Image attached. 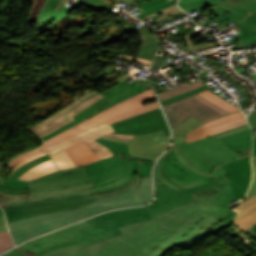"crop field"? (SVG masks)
I'll use <instances>...</instances> for the list:
<instances>
[{
	"mask_svg": "<svg viewBox=\"0 0 256 256\" xmlns=\"http://www.w3.org/2000/svg\"><path fill=\"white\" fill-rule=\"evenodd\" d=\"M30 193L9 195L0 192L7 221L60 210L76 209L97 199L88 195L93 182L83 166L58 171L29 182Z\"/></svg>",
	"mask_w": 256,
	"mask_h": 256,
	"instance_id": "obj_1",
	"label": "crop field"
},
{
	"mask_svg": "<svg viewBox=\"0 0 256 256\" xmlns=\"http://www.w3.org/2000/svg\"><path fill=\"white\" fill-rule=\"evenodd\" d=\"M173 151L169 149L158 161L155 169V191L157 200L147 206L135 209L120 210L105 213L85 220L91 226L106 220H115L137 214L149 212L152 219L172 209L194 201L196 207L208 214L220 217L224 212L233 208L229 202L233 201L229 181L221 167L212 171L216 182L196 187L181 189L170 183L162 175V165L165 158ZM162 184H158L157 182Z\"/></svg>",
	"mask_w": 256,
	"mask_h": 256,
	"instance_id": "obj_2",
	"label": "crop field"
},
{
	"mask_svg": "<svg viewBox=\"0 0 256 256\" xmlns=\"http://www.w3.org/2000/svg\"><path fill=\"white\" fill-rule=\"evenodd\" d=\"M194 203L187 204L152 221L120 227L122 236L89 245H72L43 256H145L166 239L194 211ZM2 256H35L18 247Z\"/></svg>",
	"mask_w": 256,
	"mask_h": 256,
	"instance_id": "obj_3",
	"label": "crop field"
},
{
	"mask_svg": "<svg viewBox=\"0 0 256 256\" xmlns=\"http://www.w3.org/2000/svg\"><path fill=\"white\" fill-rule=\"evenodd\" d=\"M138 162L149 165L154 163L142 159L123 161V154H121L84 166L94 182L89 194L101 197L129 189L137 178Z\"/></svg>",
	"mask_w": 256,
	"mask_h": 256,
	"instance_id": "obj_4",
	"label": "crop field"
},
{
	"mask_svg": "<svg viewBox=\"0 0 256 256\" xmlns=\"http://www.w3.org/2000/svg\"><path fill=\"white\" fill-rule=\"evenodd\" d=\"M139 181H140V177L137 178L136 183L126 192L113 195V196L102 197L99 200L95 201L94 203L88 206L82 207L80 209L38 215V216L22 219L18 222L10 223L8 224V226L10 230H13L21 226H25L28 224H32V223H36L44 220H49V221L67 225L77 220L102 212L104 210L145 204L143 200L140 198V196L137 194V192L135 191L139 184Z\"/></svg>",
	"mask_w": 256,
	"mask_h": 256,
	"instance_id": "obj_5",
	"label": "crop field"
},
{
	"mask_svg": "<svg viewBox=\"0 0 256 256\" xmlns=\"http://www.w3.org/2000/svg\"><path fill=\"white\" fill-rule=\"evenodd\" d=\"M155 95L153 89L146 90L134 97H131L105 111H102L91 118L85 119L83 122L78 124L77 126L67 130L66 132L48 140L41 147V149L50 146L56 142H59L63 139L69 138L71 136L77 135L87 129H90L100 123L108 121L109 123L115 122L121 119H125L131 116L138 115L145 111L151 110L153 108L158 107V103H152L146 106H142L141 104L148 102L150 100L155 99Z\"/></svg>",
	"mask_w": 256,
	"mask_h": 256,
	"instance_id": "obj_6",
	"label": "crop field"
},
{
	"mask_svg": "<svg viewBox=\"0 0 256 256\" xmlns=\"http://www.w3.org/2000/svg\"><path fill=\"white\" fill-rule=\"evenodd\" d=\"M217 219L197 210L147 256H163L175 246L190 249L209 234L204 231Z\"/></svg>",
	"mask_w": 256,
	"mask_h": 256,
	"instance_id": "obj_7",
	"label": "crop field"
},
{
	"mask_svg": "<svg viewBox=\"0 0 256 256\" xmlns=\"http://www.w3.org/2000/svg\"><path fill=\"white\" fill-rule=\"evenodd\" d=\"M214 13L203 20L199 25L206 26L212 21H221L219 24H229L231 22L237 24L231 28L239 34L232 39L242 42L253 30L256 31V25L246 21L245 19L256 13V0H245L237 4L224 0L219 4L210 7Z\"/></svg>",
	"mask_w": 256,
	"mask_h": 256,
	"instance_id": "obj_8",
	"label": "crop field"
},
{
	"mask_svg": "<svg viewBox=\"0 0 256 256\" xmlns=\"http://www.w3.org/2000/svg\"><path fill=\"white\" fill-rule=\"evenodd\" d=\"M163 108L171 127H174L190 115L205 123L211 119L231 113L199 93L166 105Z\"/></svg>",
	"mask_w": 256,
	"mask_h": 256,
	"instance_id": "obj_9",
	"label": "crop field"
},
{
	"mask_svg": "<svg viewBox=\"0 0 256 256\" xmlns=\"http://www.w3.org/2000/svg\"><path fill=\"white\" fill-rule=\"evenodd\" d=\"M104 97L101 93L90 90L72 103L57 111L42 122L30 127L41 137L75 120L73 117Z\"/></svg>",
	"mask_w": 256,
	"mask_h": 256,
	"instance_id": "obj_10",
	"label": "crop field"
},
{
	"mask_svg": "<svg viewBox=\"0 0 256 256\" xmlns=\"http://www.w3.org/2000/svg\"><path fill=\"white\" fill-rule=\"evenodd\" d=\"M118 134H147L163 129L166 136L169 134L168 125L160 107L135 117L111 123Z\"/></svg>",
	"mask_w": 256,
	"mask_h": 256,
	"instance_id": "obj_11",
	"label": "crop field"
},
{
	"mask_svg": "<svg viewBox=\"0 0 256 256\" xmlns=\"http://www.w3.org/2000/svg\"><path fill=\"white\" fill-rule=\"evenodd\" d=\"M111 132H114L113 128L110 126L108 122L100 124L90 130H87L77 136L71 137L69 139L63 140L59 143H56L50 147H47L43 150L47 151L50 155L65 149L71 145H74L80 141H83L86 145H88L95 153L96 155L102 159L109 156H113V154L103 145L97 143L94 141V139L99 138L103 135L110 136V137H117V138H123L128 139L134 138V136H128V135H118V134H109Z\"/></svg>",
	"mask_w": 256,
	"mask_h": 256,
	"instance_id": "obj_12",
	"label": "crop field"
},
{
	"mask_svg": "<svg viewBox=\"0 0 256 256\" xmlns=\"http://www.w3.org/2000/svg\"><path fill=\"white\" fill-rule=\"evenodd\" d=\"M121 143L129 144L131 157L156 161L166 149L170 136L165 137L163 131H157L147 135L135 136V139L123 140L110 137H102Z\"/></svg>",
	"mask_w": 256,
	"mask_h": 256,
	"instance_id": "obj_13",
	"label": "crop field"
},
{
	"mask_svg": "<svg viewBox=\"0 0 256 256\" xmlns=\"http://www.w3.org/2000/svg\"><path fill=\"white\" fill-rule=\"evenodd\" d=\"M163 175L170 182L181 188L196 186L215 181L214 178L203 177L184 167L172 152L164 162Z\"/></svg>",
	"mask_w": 256,
	"mask_h": 256,
	"instance_id": "obj_14",
	"label": "crop field"
},
{
	"mask_svg": "<svg viewBox=\"0 0 256 256\" xmlns=\"http://www.w3.org/2000/svg\"><path fill=\"white\" fill-rule=\"evenodd\" d=\"M250 159L243 158L221 166L230 181L234 200L246 195L250 186Z\"/></svg>",
	"mask_w": 256,
	"mask_h": 256,
	"instance_id": "obj_15",
	"label": "crop field"
},
{
	"mask_svg": "<svg viewBox=\"0 0 256 256\" xmlns=\"http://www.w3.org/2000/svg\"><path fill=\"white\" fill-rule=\"evenodd\" d=\"M192 147L215 167L238 159L216 136L191 143Z\"/></svg>",
	"mask_w": 256,
	"mask_h": 256,
	"instance_id": "obj_16",
	"label": "crop field"
},
{
	"mask_svg": "<svg viewBox=\"0 0 256 256\" xmlns=\"http://www.w3.org/2000/svg\"><path fill=\"white\" fill-rule=\"evenodd\" d=\"M146 220H151V217L149 215V213L146 214H142V215H137V216H133V217H128V218H124V219H119V220H115V221H106L91 227H87L85 229L79 230L77 232H74V235L77 237L78 240L116 228V227H120V226H124V225H128L131 223H135V222H139V221H146ZM75 240V241H69V242H64V243H60L54 246H50L47 247L39 252L34 253L36 256H41L45 253H48L50 251H53L55 249L64 247V246H68V245H72V244H78L79 241Z\"/></svg>",
	"mask_w": 256,
	"mask_h": 256,
	"instance_id": "obj_17",
	"label": "crop field"
},
{
	"mask_svg": "<svg viewBox=\"0 0 256 256\" xmlns=\"http://www.w3.org/2000/svg\"><path fill=\"white\" fill-rule=\"evenodd\" d=\"M246 123L247 122L244 116H242L241 112L239 111L234 114L223 116L214 121H210L183 136L186 142H189V141L207 137V136H210L236 126L246 124Z\"/></svg>",
	"mask_w": 256,
	"mask_h": 256,
	"instance_id": "obj_18",
	"label": "crop field"
},
{
	"mask_svg": "<svg viewBox=\"0 0 256 256\" xmlns=\"http://www.w3.org/2000/svg\"><path fill=\"white\" fill-rule=\"evenodd\" d=\"M84 227H87V225L84 221H82L80 223H77L70 227L50 233L43 237L35 238L31 241H28V242L22 244L20 247L34 253V252L39 251L47 246L76 239V237L73 235L72 232L82 229Z\"/></svg>",
	"mask_w": 256,
	"mask_h": 256,
	"instance_id": "obj_19",
	"label": "crop field"
},
{
	"mask_svg": "<svg viewBox=\"0 0 256 256\" xmlns=\"http://www.w3.org/2000/svg\"><path fill=\"white\" fill-rule=\"evenodd\" d=\"M146 88L143 87L140 83H138L136 80L132 81V82H127L124 81L114 87H111L103 92H101L102 94L105 95V97L109 98L110 100H112L113 102L110 103L109 105H107L106 107H104L103 109H101L100 111L130 97L133 96L143 90H145ZM99 111V112H100ZM98 113V112H97Z\"/></svg>",
	"mask_w": 256,
	"mask_h": 256,
	"instance_id": "obj_20",
	"label": "crop field"
},
{
	"mask_svg": "<svg viewBox=\"0 0 256 256\" xmlns=\"http://www.w3.org/2000/svg\"><path fill=\"white\" fill-rule=\"evenodd\" d=\"M60 224H56L53 222L45 221V222H40L32 225H28L22 228H18L14 231H12V235L14 238V241L16 244H19L29 238H32L34 236H37L39 234L45 233L47 231H50L52 229L58 228Z\"/></svg>",
	"mask_w": 256,
	"mask_h": 256,
	"instance_id": "obj_21",
	"label": "crop field"
},
{
	"mask_svg": "<svg viewBox=\"0 0 256 256\" xmlns=\"http://www.w3.org/2000/svg\"><path fill=\"white\" fill-rule=\"evenodd\" d=\"M69 9L70 7L64 6V0H48L39 15L37 29L51 24Z\"/></svg>",
	"mask_w": 256,
	"mask_h": 256,
	"instance_id": "obj_22",
	"label": "crop field"
},
{
	"mask_svg": "<svg viewBox=\"0 0 256 256\" xmlns=\"http://www.w3.org/2000/svg\"><path fill=\"white\" fill-rule=\"evenodd\" d=\"M65 151L77 166L86 165L99 160L95 153L83 142L71 146L65 149Z\"/></svg>",
	"mask_w": 256,
	"mask_h": 256,
	"instance_id": "obj_23",
	"label": "crop field"
},
{
	"mask_svg": "<svg viewBox=\"0 0 256 256\" xmlns=\"http://www.w3.org/2000/svg\"><path fill=\"white\" fill-rule=\"evenodd\" d=\"M110 101L107 98H102L101 100H99L98 102H96L95 104H93L92 106H90L88 109H86L85 111H83L82 113H80L79 115H77L76 117H74L76 120L44 137H42L45 141L64 132L65 130L77 125L78 123H80L82 120H84L85 118H87L88 116L96 113L97 111H99L101 108H103L104 106H106L107 104H109Z\"/></svg>",
	"mask_w": 256,
	"mask_h": 256,
	"instance_id": "obj_24",
	"label": "crop field"
},
{
	"mask_svg": "<svg viewBox=\"0 0 256 256\" xmlns=\"http://www.w3.org/2000/svg\"><path fill=\"white\" fill-rule=\"evenodd\" d=\"M0 191L10 194H23L29 192L28 182L0 176Z\"/></svg>",
	"mask_w": 256,
	"mask_h": 256,
	"instance_id": "obj_25",
	"label": "crop field"
},
{
	"mask_svg": "<svg viewBox=\"0 0 256 256\" xmlns=\"http://www.w3.org/2000/svg\"><path fill=\"white\" fill-rule=\"evenodd\" d=\"M138 34H145L147 42H142L138 57L152 60L158 48L157 39L145 28L136 31Z\"/></svg>",
	"mask_w": 256,
	"mask_h": 256,
	"instance_id": "obj_26",
	"label": "crop field"
},
{
	"mask_svg": "<svg viewBox=\"0 0 256 256\" xmlns=\"http://www.w3.org/2000/svg\"><path fill=\"white\" fill-rule=\"evenodd\" d=\"M182 152L185 154V156L188 158V160L194 164L196 167L206 171L210 172L214 166H212L210 163H208L206 160H204L190 145V143L185 145H179Z\"/></svg>",
	"mask_w": 256,
	"mask_h": 256,
	"instance_id": "obj_27",
	"label": "crop field"
},
{
	"mask_svg": "<svg viewBox=\"0 0 256 256\" xmlns=\"http://www.w3.org/2000/svg\"><path fill=\"white\" fill-rule=\"evenodd\" d=\"M55 171H58V168L56 164L52 160H50L48 162H45L43 164H40L38 166L31 168L18 179L30 181L34 178H37Z\"/></svg>",
	"mask_w": 256,
	"mask_h": 256,
	"instance_id": "obj_28",
	"label": "crop field"
},
{
	"mask_svg": "<svg viewBox=\"0 0 256 256\" xmlns=\"http://www.w3.org/2000/svg\"><path fill=\"white\" fill-rule=\"evenodd\" d=\"M236 213L232 211H227L224 213L206 232H209L213 235L220 233L228 225L232 224L236 218Z\"/></svg>",
	"mask_w": 256,
	"mask_h": 256,
	"instance_id": "obj_29",
	"label": "crop field"
},
{
	"mask_svg": "<svg viewBox=\"0 0 256 256\" xmlns=\"http://www.w3.org/2000/svg\"><path fill=\"white\" fill-rule=\"evenodd\" d=\"M256 224V207L246 211L245 213L237 216L234 225L241 228L242 230H247Z\"/></svg>",
	"mask_w": 256,
	"mask_h": 256,
	"instance_id": "obj_30",
	"label": "crop field"
},
{
	"mask_svg": "<svg viewBox=\"0 0 256 256\" xmlns=\"http://www.w3.org/2000/svg\"><path fill=\"white\" fill-rule=\"evenodd\" d=\"M201 124H203V123L199 122L195 118H193L191 116L188 117L183 122H181L180 124H178L177 126L172 128L173 139L191 131L192 129L200 126Z\"/></svg>",
	"mask_w": 256,
	"mask_h": 256,
	"instance_id": "obj_31",
	"label": "crop field"
},
{
	"mask_svg": "<svg viewBox=\"0 0 256 256\" xmlns=\"http://www.w3.org/2000/svg\"><path fill=\"white\" fill-rule=\"evenodd\" d=\"M203 82H205V81L203 79H201V80H198V81H195V82H192V83H189V84H186V85H183V86H180V87H177V88L165 91V92H162V93L158 94V96H159L160 100L162 101L164 99L170 98L172 96L178 95L185 91L191 90V89L199 87L201 85H204Z\"/></svg>",
	"mask_w": 256,
	"mask_h": 256,
	"instance_id": "obj_32",
	"label": "crop field"
},
{
	"mask_svg": "<svg viewBox=\"0 0 256 256\" xmlns=\"http://www.w3.org/2000/svg\"><path fill=\"white\" fill-rule=\"evenodd\" d=\"M221 0H188L180 2L179 6L182 7L186 12L196 9L201 11L202 9L209 7Z\"/></svg>",
	"mask_w": 256,
	"mask_h": 256,
	"instance_id": "obj_33",
	"label": "crop field"
},
{
	"mask_svg": "<svg viewBox=\"0 0 256 256\" xmlns=\"http://www.w3.org/2000/svg\"><path fill=\"white\" fill-rule=\"evenodd\" d=\"M122 235L118 228L80 240V243L84 246L93 244L99 241L107 240L116 236Z\"/></svg>",
	"mask_w": 256,
	"mask_h": 256,
	"instance_id": "obj_34",
	"label": "crop field"
},
{
	"mask_svg": "<svg viewBox=\"0 0 256 256\" xmlns=\"http://www.w3.org/2000/svg\"><path fill=\"white\" fill-rule=\"evenodd\" d=\"M136 191L144 202L148 203L152 199L151 177H141L140 185Z\"/></svg>",
	"mask_w": 256,
	"mask_h": 256,
	"instance_id": "obj_35",
	"label": "crop field"
},
{
	"mask_svg": "<svg viewBox=\"0 0 256 256\" xmlns=\"http://www.w3.org/2000/svg\"><path fill=\"white\" fill-rule=\"evenodd\" d=\"M52 158V160L57 164L59 170L75 166L64 150L52 155Z\"/></svg>",
	"mask_w": 256,
	"mask_h": 256,
	"instance_id": "obj_36",
	"label": "crop field"
},
{
	"mask_svg": "<svg viewBox=\"0 0 256 256\" xmlns=\"http://www.w3.org/2000/svg\"><path fill=\"white\" fill-rule=\"evenodd\" d=\"M235 153L250 149L252 147V137H247L229 144H226Z\"/></svg>",
	"mask_w": 256,
	"mask_h": 256,
	"instance_id": "obj_37",
	"label": "crop field"
},
{
	"mask_svg": "<svg viewBox=\"0 0 256 256\" xmlns=\"http://www.w3.org/2000/svg\"><path fill=\"white\" fill-rule=\"evenodd\" d=\"M173 148H174V150H175V154H176L178 160H179L183 165H185L187 168H189L190 170H192V171H194V172H196V173H199V174H201V175L213 177L212 174L203 172V171L197 169L194 165H192V164L186 159V157L183 155V153L180 151L178 145L173 146Z\"/></svg>",
	"mask_w": 256,
	"mask_h": 256,
	"instance_id": "obj_38",
	"label": "crop field"
},
{
	"mask_svg": "<svg viewBox=\"0 0 256 256\" xmlns=\"http://www.w3.org/2000/svg\"><path fill=\"white\" fill-rule=\"evenodd\" d=\"M50 160V157L48 155H45L41 158H38L30 163H27L25 165H23L22 167H20L18 170H16L15 172L12 173L11 177L17 179L18 177H20L24 172H26L29 168L38 165L40 163H43L45 161Z\"/></svg>",
	"mask_w": 256,
	"mask_h": 256,
	"instance_id": "obj_39",
	"label": "crop field"
},
{
	"mask_svg": "<svg viewBox=\"0 0 256 256\" xmlns=\"http://www.w3.org/2000/svg\"><path fill=\"white\" fill-rule=\"evenodd\" d=\"M200 93L203 94L204 96L208 97L209 99L215 101L216 103L220 104L221 106L227 108L228 110H230L232 112L239 110V108H237L234 105L230 104L229 102L221 99L216 94H214L208 90L200 92Z\"/></svg>",
	"mask_w": 256,
	"mask_h": 256,
	"instance_id": "obj_40",
	"label": "crop field"
},
{
	"mask_svg": "<svg viewBox=\"0 0 256 256\" xmlns=\"http://www.w3.org/2000/svg\"><path fill=\"white\" fill-rule=\"evenodd\" d=\"M14 246L9 232H0V254L11 249Z\"/></svg>",
	"mask_w": 256,
	"mask_h": 256,
	"instance_id": "obj_41",
	"label": "crop field"
},
{
	"mask_svg": "<svg viewBox=\"0 0 256 256\" xmlns=\"http://www.w3.org/2000/svg\"><path fill=\"white\" fill-rule=\"evenodd\" d=\"M208 88H209V87H207L206 85H204V86H202V87L196 88V89H194V90H191V91H188V92H186V93L180 94V95H178V96L172 97V98H170V99L164 100V101H162L161 103H162V105L164 106V105L169 104V103H171V102H174V101H176V100L183 99V98H187V97H189V96H191V95H193V94H195V93H197V92L206 90V89H208Z\"/></svg>",
	"mask_w": 256,
	"mask_h": 256,
	"instance_id": "obj_42",
	"label": "crop field"
},
{
	"mask_svg": "<svg viewBox=\"0 0 256 256\" xmlns=\"http://www.w3.org/2000/svg\"><path fill=\"white\" fill-rule=\"evenodd\" d=\"M159 13L162 16L156 18L157 22H159V21H161V20H163L165 18L171 17V16H173L175 14H179V13H183V12L175 4V5L171 6V7H168L166 9H164V10L159 11Z\"/></svg>",
	"mask_w": 256,
	"mask_h": 256,
	"instance_id": "obj_43",
	"label": "crop field"
},
{
	"mask_svg": "<svg viewBox=\"0 0 256 256\" xmlns=\"http://www.w3.org/2000/svg\"><path fill=\"white\" fill-rule=\"evenodd\" d=\"M183 37H184V40H185V42H186V44H187V46H188V47H186L185 49L190 48L191 51H194V50H198V49H201V48H205V47L211 46L210 41L193 45L192 42H191V40H190L192 37L190 36L189 33L183 35Z\"/></svg>",
	"mask_w": 256,
	"mask_h": 256,
	"instance_id": "obj_44",
	"label": "crop field"
},
{
	"mask_svg": "<svg viewBox=\"0 0 256 256\" xmlns=\"http://www.w3.org/2000/svg\"><path fill=\"white\" fill-rule=\"evenodd\" d=\"M46 0H35L30 15L26 23L33 22L36 20L37 14L42 8Z\"/></svg>",
	"mask_w": 256,
	"mask_h": 256,
	"instance_id": "obj_45",
	"label": "crop field"
},
{
	"mask_svg": "<svg viewBox=\"0 0 256 256\" xmlns=\"http://www.w3.org/2000/svg\"><path fill=\"white\" fill-rule=\"evenodd\" d=\"M42 152H44V151H41V150H33V151H31V152H28V153H26V154L21 155V156L18 157L17 159L11 161L8 165L14 167V166L17 165L19 162H21V161H23V160H25V159H27V158H29V157H32V156H34V155H37V154H39V153H42Z\"/></svg>",
	"mask_w": 256,
	"mask_h": 256,
	"instance_id": "obj_46",
	"label": "crop field"
},
{
	"mask_svg": "<svg viewBox=\"0 0 256 256\" xmlns=\"http://www.w3.org/2000/svg\"><path fill=\"white\" fill-rule=\"evenodd\" d=\"M168 0H147V1H143V2H138L137 4L144 10H148L156 5H159L161 3H164Z\"/></svg>",
	"mask_w": 256,
	"mask_h": 256,
	"instance_id": "obj_47",
	"label": "crop field"
},
{
	"mask_svg": "<svg viewBox=\"0 0 256 256\" xmlns=\"http://www.w3.org/2000/svg\"><path fill=\"white\" fill-rule=\"evenodd\" d=\"M252 167H253V182L246 196L247 199L256 195V161L252 162Z\"/></svg>",
	"mask_w": 256,
	"mask_h": 256,
	"instance_id": "obj_48",
	"label": "crop field"
},
{
	"mask_svg": "<svg viewBox=\"0 0 256 256\" xmlns=\"http://www.w3.org/2000/svg\"><path fill=\"white\" fill-rule=\"evenodd\" d=\"M255 205H256V196L242 202L240 209H239V214L245 212L246 210L250 209L251 207H253Z\"/></svg>",
	"mask_w": 256,
	"mask_h": 256,
	"instance_id": "obj_49",
	"label": "crop field"
},
{
	"mask_svg": "<svg viewBox=\"0 0 256 256\" xmlns=\"http://www.w3.org/2000/svg\"><path fill=\"white\" fill-rule=\"evenodd\" d=\"M167 57H168V54H166L164 57L156 55L152 63L151 71L161 67V65L163 64V62L166 60Z\"/></svg>",
	"mask_w": 256,
	"mask_h": 256,
	"instance_id": "obj_50",
	"label": "crop field"
},
{
	"mask_svg": "<svg viewBox=\"0 0 256 256\" xmlns=\"http://www.w3.org/2000/svg\"><path fill=\"white\" fill-rule=\"evenodd\" d=\"M139 167H140L139 176H151L152 166L143 165L139 163Z\"/></svg>",
	"mask_w": 256,
	"mask_h": 256,
	"instance_id": "obj_51",
	"label": "crop field"
},
{
	"mask_svg": "<svg viewBox=\"0 0 256 256\" xmlns=\"http://www.w3.org/2000/svg\"><path fill=\"white\" fill-rule=\"evenodd\" d=\"M254 42H256V38L250 34L241 44H239L237 46L239 49H242V48H244L243 46L251 45ZM244 50H245V48H244Z\"/></svg>",
	"mask_w": 256,
	"mask_h": 256,
	"instance_id": "obj_52",
	"label": "crop field"
},
{
	"mask_svg": "<svg viewBox=\"0 0 256 256\" xmlns=\"http://www.w3.org/2000/svg\"><path fill=\"white\" fill-rule=\"evenodd\" d=\"M247 120L250 126L256 131V112L250 113Z\"/></svg>",
	"mask_w": 256,
	"mask_h": 256,
	"instance_id": "obj_53",
	"label": "crop field"
},
{
	"mask_svg": "<svg viewBox=\"0 0 256 256\" xmlns=\"http://www.w3.org/2000/svg\"><path fill=\"white\" fill-rule=\"evenodd\" d=\"M44 154H46V152H44V153H42V154H39V155H37V156H34V157H32V158H29V159L23 161L22 163L18 164L16 167H14L13 170H12V172H13L14 170H16L17 168H19L21 165H23V164H25V163H27V162H29V161H32V160H34V159H36V158H38V157H40V156H42V155H44ZM12 172H11V173H12ZM11 173H10V174H11Z\"/></svg>",
	"mask_w": 256,
	"mask_h": 256,
	"instance_id": "obj_54",
	"label": "crop field"
},
{
	"mask_svg": "<svg viewBox=\"0 0 256 256\" xmlns=\"http://www.w3.org/2000/svg\"><path fill=\"white\" fill-rule=\"evenodd\" d=\"M8 230L6 227V221H5V216L4 213L0 216V231H6Z\"/></svg>",
	"mask_w": 256,
	"mask_h": 256,
	"instance_id": "obj_55",
	"label": "crop field"
},
{
	"mask_svg": "<svg viewBox=\"0 0 256 256\" xmlns=\"http://www.w3.org/2000/svg\"><path fill=\"white\" fill-rule=\"evenodd\" d=\"M246 129H249V126L244 127V128H240V129H237V130H234V131H230V132H227V133H224V134L217 135V137L220 138V137L227 136V135H230V134H233V133H236V132H239V131H243V130H246Z\"/></svg>",
	"mask_w": 256,
	"mask_h": 256,
	"instance_id": "obj_56",
	"label": "crop field"
},
{
	"mask_svg": "<svg viewBox=\"0 0 256 256\" xmlns=\"http://www.w3.org/2000/svg\"><path fill=\"white\" fill-rule=\"evenodd\" d=\"M173 143L174 144H177V143H186L183 136L179 137V138H176L173 140Z\"/></svg>",
	"mask_w": 256,
	"mask_h": 256,
	"instance_id": "obj_57",
	"label": "crop field"
},
{
	"mask_svg": "<svg viewBox=\"0 0 256 256\" xmlns=\"http://www.w3.org/2000/svg\"><path fill=\"white\" fill-rule=\"evenodd\" d=\"M140 80H141V79H139V80H137V81L141 82ZM142 85L145 86L147 89H149V88L152 87L151 84H150V80H147V82L143 83Z\"/></svg>",
	"mask_w": 256,
	"mask_h": 256,
	"instance_id": "obj_58",
	"label": "crop field"
},
{
	"mask_svg": "<svg viewBox=\"0 0 256 256\" xmlns=\"http://www.w3.org/2000/svg\"><path fill=\"white\" fill-rule=\"evenodd\" d=\"M254 14H255V13H254ZM246 20H248V21H250V22L256 24V14L253 15V16H251L250 18H248V19H246Z\"/></svg>",
	"mask_w": 256,
	"mask_h": 256,
	"instance_id": "obj_59",
	"label": "crop field"
},
{
	"mask_svg": "<svg viewBox=\"0 0 256 256\" xmlns=\"http://www.w3.org/2000/svg\"><path fill=\"white\" fill-rule=\"evenodd\" d=\"M256 155V139L253 140V156Z\"/></svg>",
	"mask_w": 256,
	"mask_h": 256,
	"instance_id": "obj_60",
	"label": "crop field"
},
{
	"mask_svg": "<svg viewBox=\"0 0 256 256\" xmlns=\"http://www.w3.org/2000/svg\"><path fill=\"white\" fill-rule=\"evenodd\" d=\"M11 170H12V167L8 166V168L6 169L4 175H5V176H9V173L11 172Z\"/></svg>",
	"mask_w": 256,
	"mask_h": 256,
	"instance_id": "obj_61",
	"label": "crop field"
},
{
	"mask_svg": "<svg viewBox=\"0 0 256 256\" xmlns=\"http://www.w3.org/2000/svg\"><path fill=\"white\" fill-rule=\"evenodd\" d=\"M115 3H118V2H122V1H126V0H114Z\"/></svg>",
	"mask_w": 256,
	"mask_h": 256,
	"instance_id": "obj_62",
	"label": "crop field"
},
{
	"mask_svg": "<svg viewBox=\"0 0 256 256\" xmlns=\"http://www.w3.org/2000/svg\"><path fill=\"white\" fill-rule=\"evenodd\" d=\"M252 228H253V230H254V231H255V233H256V225H255V226H253Z\"/></svg>",
	"mask_w": 256,
	"mask_h": 256,
	"instance_id": "obj_63",
	"label": "crop field"
},
{
	"mask_svg": "<svg viewBox=\"0 0 256 256\" xmlns=\"http://www.w3.org/2000/svg\"><path fill=\"white\" fill-rule=\"evenodd\" d=\"M253 160H256V156L253 157L252 161H253Z\"/></svg>",
	"mask_w": 256,
	"mask_h": 256,
	"instance_id": "obj_64",
	"label": "crop field"
},
{
	"mask_svg": "<svg viewBox=\"0 0 256 256\" xmlns=\"http://www.w3.org/2000/svg\"><path fill=\"white\" fill-rule=\"evenodd\" d=\"M3 212L1 211V209H0V215L2 214Z\"/></svg>",
	"mask_w": 256,
	"mask_h": 256,
	"instance_id": "obj_65",
	"label": "crop field"
},
{
	"mask_svg": "<svg viewBox=\"0 0 256 256\" xmlns=\"http://www.w3.org/2000/svg\"><path fill=\"white\" fill-rule=\"evenodd\" d=\"M180 1H184V0H180ZM180 1H179V2H180Z\"/></svg>",
	"mask_w": 256,
	"mask_h": 256,
	"instance_id": "obj_66",
	"label": "crop field"
}]
</instances>
